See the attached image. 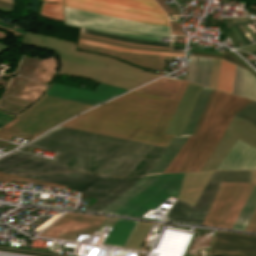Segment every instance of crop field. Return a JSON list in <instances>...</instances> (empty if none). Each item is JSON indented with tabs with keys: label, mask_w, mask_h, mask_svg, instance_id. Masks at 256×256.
Returning a JSON list of instances; mask_svg holds the SVG:
<instances>
[{
	"label": "crop field",
	"mask_w": 256,
	"mask_h": 256,
	"mask_svg": "<svg viewBox=\"0 0 256 256\" xmlns=\"http://www.w3.org/2000/svg\"><path fill=\"white\" fill-rule=\"evenodd\" d=\"M80 42L91 44V45H96V46H101V47H106V48H111V49H115V50H120V51L139 52V53H147V54H155V55H166V56H178V57H183V55H184V54H178V53H165V52L124 49L125 47L119 48L120 46L115 47V46L105 45V44L91 42V41H87V40H82V39H80Z\"/></svg>",
	"instance_id": "crop-field-25"
},
{
	"label": "crop field",
	"mask_w": 256,
	"mask_h": 256,
	"mask_svg": "<svg viewBox=\"0 0 256 256\" xmlns=\"http://www.w3.org/2000/svg\"><path fill=\"white\" fill-rule=\"evenodd\" d=\"M232 92L256 99V78L237 66Z\"/></svg>",
	"instance_id": "crop-field-15"
},
{
	"label": "crop field",
	"mask_w": 256,
	"mask_h": 256,
	"mask_svg": "<svg viewBox=\"0 0 256 256\" xmlns=\"http://www.w3.org/2000/svg\"><path fill=\"white\" fill-rule=\"evenodd\" d=\"M81 34H83V33H81ZM83 35L92 36V35H88V34H83ZM92 37H97V36H92ZM97 38L106 39V38H102V37H97ZM106 40H111V39H106ZM111 41L120 42V43H125V42L116 41V40H111ZM125 44L136 45V46H146V47H156V46L137 45V44H130V43H125ZM156 48H166V47H156ZM166 49H170V48H166Z\"/></svg>",
	"instance_id": "crop-field-31"
},
{
	"label": "crop field",
	"mask_w": 256,
	"mask_h": 256,
	"mask_svg": "<svg viewBox=\"0 0 256 256\" xmlns=\"http://www.w3.org/2000/svg\"><path fill=\"white\" fill-rule=\"evenodd\" d=\"M253 186L223 182L202 225L231 228Z\"/></svg>",
	"instance_id": "crop-field-7"
},
{
	"label": "crop field",
	"mask_w": 256,
	"mask_h": 256,
	"mask_svg": "<svg viewBox=\"0 0 256 256\" xmlns=\"http://www.w3.org/2000/svg\"><path fill=\"white\" fill-rule=\"evenodd\" d=\"M212 59L190 56L187 81L208 86Z\"/></svg>",
	"instance_id": "crop-field-13"
},
{
	"label": "crop field",
	"mask_w": 256,
	"mask_h": 256,
	"mask_svg": "<svg viewBox=\"0 0 256 256\" xmlns=\"http://www.w3.org/2000/svg\"><path fill=\"white\" fill-rule=\"evenodd\" d=\"M159 175L160 174L144 176L127 191H125L122 195H120L117 199H115L112 203H110L106 208H104L100 213L112 214L122 205H124L126 202H128L130 199H132L134 196L144 190L147 186H149L153 181L158 178Z\"/></svg>",
	"instance_id": "crop-field-14"
},
{
	"label": "crop field",
	"mask_w": 256,
	"mask_h": 256,
	"mask_svg": "<svg viewBox=\"0 0 256 256\" xmlns=\"http://www.w3.org/2000/svg\"><path fill=\"white\" fill-rule=\"evenodd\" d=\"M210 90L211 89L209 88L203 87L181 136H174L169 145L161 154L159 160L155 163V165L153 164L154 166L149 170L148 173H163V171L172 161L174 156L184 144L187 136L191 134Z\"/></svg>",
	"instance_id": "crop-field-12"
},
{
	"label": "crop field",
	"mask_w": 256,
	"mask_h": 256,
	"mask_svg": "<svg viewBox=\"0 0 256 256\" xmlns=\"http://www.w3.org/2000/svg\"><path fill=\"white\" fill-rule=\"evenodd\" d=\"M141 1L150 2V3H154L155 4V2L153 0H141Z\"/></svg>",
	"instance_id": "crop-field-32"
},
{
	"label": "crop field",
	"mask_w": 256,
	"mask_h": 256,
	"mask_svg": "<svg viewBox=\"0 0 256 256\" xmlns=\"http://www.w3.org/2000/svg\"><path fill=\"white\" fill-rule=\"evenodd\" d=\"M187 83L181 82L173 100L132 91L62 126L166 147L173 136L163 133ZM62 126L27 145L58 153L55 160L18 151L12 154L88 172L135 176L146 174L164 150ZM12 154L0 159V171L16 174L74 170Z\"/></svg>",
	"instance_id": "crop-field-1"
},
{
	"label": "crop field",
	"mask_w": 256,
	"mask_h": 256,
	"mask_svg": "<svg viewBox=\"0 0 256 256\" xmlns=\"http://www.w3.org/2000/svg\"><path fill=\"white\" fill-rule=\"evenodd\" d=\"M81 32L92 34V35H97V36H102V37H107V38H111V39L121 40V41H125V42H130V43L170 47V43H166V42H156V41L132 39V38H127V37L107 34V33H103V32L83 29V28H81Z\"/></svg>",
	"instance_id": "crop-field-21"
},
{
	"label": "crop field",
	"mask_w": 256,
	"mask_h": 256,
	"mask_svg": "<svg viewBox=\"0 0 256 256\" xmlns=\"http://www.w3.org/2000/svg\"><path fill=\"white\" fill-rule=\"evenodd\" d=\"M64 6L168 26L166 14L157 5L136 0H64Z\"/></svg>",
	"instance_id": "crop-field-5"
},
{
	"label": "crop field",
	"mask_w": 256,
	"mask_h": 256,
	"mask_svg": "<svg viewBox=\"0 0 256 256\" xmlns=\"http://www.w3.org/2000/svg\"><path fill=\"white\" fill-rule=\"evenodd\" d=\"M135 223L134 220L118 219L103 244L123 246Z\"/></svg>",
	"instance_id": "crop-field-17"
},
{
	"label": "crop field",
	"mask_w": 256,
	"mask_h": 256,
	"mask_svg": "<svg viewBox=\"0 0 256 256\" xmlns=\"http://www.w3.org/2000/svg\"><path fill=\"white\" fill-rule=\"evenodd\" d=\"M194 55H197V56H207V57H217V58H223L225 60H228L230 62H233L235 64H238L240 66H242L239 62H237L235 59H233L226 51H224L223 55L222 56H217V55H208V54H199V53H194ZM244 67V66H243Z\"/></svg>",
	"instance_id": "crop-field-27"
},
{
	"label": "crop field",
	"mask_w": 256,
	"mask_h": 256,
	"mask_svg": "<svg viewBox=\"0 0 256 256\" xmlns=\"http://www.w3.org/2000/svg\"><path fill=\"white\" fill-rule=\"evenodd\" d=\"M10 178L18 179V180H22V181H27V182H32V183H37V184L46 185V186H51V187L60 188V189H64L66 187V186H61V185H57V184H52V183L37 181V180H33V179L23 178V177H19V176H15V175H0V181H3V182L9 183Z\"/></svg>",
	"instance_id": "crop-field-26"
},
{
	"label": "crop field",
	"mask_w": 256,
	"mask_h": 256,
	"mask_svg": "<svg viewBox=\"0 0 256 256\" xmlns=\"http://www.w3.org/2000/svg\"><path fill=\"white\" fill-rule=\"evenodd\" d=\"M208 254L256 256V235L217 231Z\"/></svg>",
	"instance_id": "crop-field-11"
},
{
	"label": "crop field",
	"mask_w": 256,
	"mask_h": 256,
	"mask_svg": "<svg viewBox=\"0 0 256 256\" xmlns=\"http://www.w3.org/2000/svg\"><path fill=\"white\" fill-rule=\"evenodd\" d=\"M184 174H161L155 182L113 214L139 217L150 208L156 209L170 196L176 198Z\"/></svg>",
	"instance_id": "crop-field-8"
},
{
	"label": "crop field",
	"mask_w": 256,
	"mask_h": 256,
	"mask_svg": "<svg viewBox=\"0 0 256 256\" xmlns=\"http://www.w3.org/2000/svg\"><path fill=\"white\" fill-rule=\"evenodd\" d=\"M12 135L20 137V138L28 140V141H30V140H32L33 138L36 137V136H33L31 134L22 132L20 130L14 129V128H11V127L6 126V125H4L0 128V138L1 139L9 141Z\"/></svg>",
	"instance_id": "crop-field-23"
},
{
	"label": "crop field",
	"mask_w": 256,
	"mask_h": 256,
	"mask_svg": "<svg viewBox=\"0 0 256 256\" xmlns=\"http://www.w3.org/2000/svg\"><path fill=\"white\" fill-rule=\"evenodd\" d=\"M170 26H171V31L173 34H180V35H184L180 28H179V23H175V22H170Z\"/></svg>",
	"instance_id": "crop-field-30"
},
{
	"label": "crop field",
	"mask_w": 256,
	"mask_h": 256,
	"mask_svg": "<svg viewBox=\"0 0 256 256\" xmlns=\"http://www.w3.org/2000/svg\"><path fill=\"white\" fill-rule=\"evenodd\" d=\"M256 209V184L232 228L244 230Z\"/></svg>",
	"instance_id": "crop-field-18"
},
{
	"label": "crop field",
	"mask_w": 256,
	"mask_h": 256,
	"mask_svg": "<svg viewBox=\"0 0 256 256\" xmlns=\"http://www.w3.org/2000/svg\"><path fill=\"white\" fill-rule=\"evenodd\" d=\"M125 91L102 83L95 91L52 83L46 94L95 106Z\"/></svg>",
	"instance_id": "crop-field-10"
},
{
	"label": "crop field",
	"mask_w": 256,
	"mask_h": 256,
	"mask_svg": "<svg viewBox=\"0 0 256 256\" xmlns=\"http://www.w3.org/2000/svg\"><path fill=\"white\" fill-rule=\"evenodd\" d=\"M222 181L251 183V171H214L194 207L176 199L164 220L201 224Z\"/></svg>",
	"instance_id": "crop-field-6"
},
{
	"label": "crop field",
	"mask_w": 256,
	"mask_h": 256,
	"mask_svg": "<svg viewBox=\"0 0 256 256\" xmlns=\"http://www.w3.org/2000/svg\"><path fill=\"white\" fill-rule=\"evenodd\" d=\"M235 68V65L221 60L216 89L231 93Z\"/></svg>",
	"instance_id": "crop-field-19"
},
{
	"label": "crop field",
	"mask_w": 256,
	"mask_h": 256,
	"mask_svg": "<svg viewBox=\"0 0 256 256\" xmlns=\"http://www.w3.org/2000/svg\"><path fill=\"white\" fill-rule=\"evenodd\" d=\"M249 104L256 106V102L251 100ZM247 104L241 111H239L237 116L249 122L256 127V107Z\"/></svg>",
	"instance_id": "crop-field-24"
},
{
	"label": "crop field",
	"mask_w": 256,
	"mask_h": 256,
	"mask_svg": "<svg viewBox=\"0 0 256 256\" xmlns=\"http://www.w3.org/2000/svg\"><path fill=\"white\" fill-rule=\"evenodd\" d=\"M8 1V0H7ZM12 1V0H11Z\"/></svg>",
	"instance_id": "crop-field-34"
},
{
	"label": "crop field",
	"mask_w": 256,
	"mask_h": 256,
	"mask_svg": "<svg viewBox=\"0 0 256 256\" xmlns=\"http://www.w3.org/2000/svg\"><path fill=\"white\" fill-rule=\"evenodd\" d=\"M246 230H249V231H256V211L255 213L253 214Z\"/></svg>",
	"instance_id": "crop-field-29"
},
{
	"label": "crop field",
	"mask_w": 256,
	"mask_h": 256,
	"mask_svg": "<svg viewBox=\"0 0 256 256\" xmlns=\"http://www.w3.org/2000/svg\"><path fill=\"white\" fill-rule=\"evenodd\" d=\"M60 4L42 3L40 16L63 20V2L62 0H42Z\"/></svg>",
	"instance_id": "crop-field-22"
},
{
	"label": "crop field",
	"mask_w": 256,
	"mask_h": 256,
	"mask_svg": "<svg viewBox=\"0 0 256 256\" xmlns=\"http://www.w3.org/2000/svg\"><path fill=\"white\" fill-rule=\"evenodd\" d=\"M64 9L65 25L157 41H160L161 36H171L169 28L165 26L145 24L66 7ZM81 18L84 21H81Z\"/></svg>",
	"instance_id": "crop-field-4"
},
{
	"label": "crop field",
	"mask_w": 256,
	"mask_h": 256,
	"mask_svg": "<svg viewBox=\"0 0 256 256\" xmlns=\"http://www.w3.org/2000/svg\"><path fill=\"white\" fill-rule=\"evenodd\" d=\"M13 118L14 117L0 111V127L12 120Z\"/></svg>",
	"instance_id": "crop-field-28"
},
{
	"label": "crop field",
	"mask_w": 256,
	"mask_h": 256,
	"mask_svg": "<svg viewBox=\"0 0 256 256\" xmlns=\"http://www.w3.org/2000/svg\"><path fill=\"white\" fill-rule=\"evenodd\" d=\"M180 82L179 80L161 78L136 89V91L172 99Z\"/></svg>",
	"instance_id": "crop-field-16"
},
{
	"label": "crop field",
	"mask_w": 256,
	"mask_h": 256,
	"mask_svg": "<svg viewBox=\"0 0 256 256\" xmlns=\"http://www.w3.org/2000/svg\"><path fill=\"white\" fill-rule=\"evenodd\" d=\"M105 217L67 213L40 235L75 240L80 233L92 234Z\"/></svg>",
	"instance_id": "crop-field-9"
},
{
	"label": "crop field",
	"mask_w": 256,
	"mask_h": 256,
	"mask_svg": "<svg viewBox=\"0 0 256 256\" xmlns=\"http://www.w3.org/2000/svg\"><path fill=\"white\" fill-rule=\"evenodd\" d=\"M152 224L153 223L151 222L139 221L136 229L134 230L131 238L126 245V248L140 250Z\"/></svg>",
	"instance_id": "crop-field-20"
},
{
	"label": "crop field",
	"mask_w": 256,
	"mask_h": 256,
	"mask_svg": "<svg viewBox=\"0 0 256 256\" xmlns=\"http://www.w3.org/2000/svg\"><path fill=\"white\" fill-rule=\"evenodd\" d=\"M20 176L66 185L69 186L68 188L70 189L98 198L100 200L87 209V211L93 212H99L102 210L141 177H143L135 176L129 178H115L84 172Z\"/></svg>",
	"instance_id": "crop-field-3"
},
{
	"label": "crop field",
	"mask_w": 256,
	"mask_h": 256,
	"mask_svg": "<svg viewBox=\"0 0 256 256\" xmlns=\"http://www.w3.org/2000/svg\"><path fill=\"white\" fill-rule=\"evenodd\" d=\"M0 174H6V173H2V172H0Z\"/></svg>",
	"instance_id": "crop-field-33"
},
{
	"label": "crop field",
	"mask_w": 256,
	"mask_h": 256,
	"mask_svg": "<svg viewBox=\"0 0 256 256\" xmlns=\"http://www.w3.org/2000/svg\"><path fill=\"white\" fill-rule=\"evenodd\" d=\"M250 100L237 95L216 91L196 137L188 136L185 144L164 171H200L206 159L220 141L233 114ZM239 140V139H238ZM234 144L217 170L256 169V149L238 141Z\"/></svg>",
	"instance_id": "crop-field-2"
}]
</instances>
